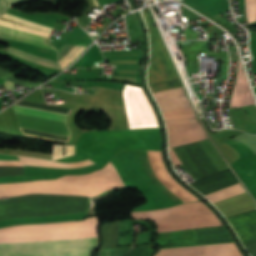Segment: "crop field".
Listing matches in <instances>:
<instances>
[{"instance_id":"crop-field-1","label":"crop field","mask_w":256,"mask_h":256,"mask_svg":"<svg viewBox=\"0 0 256 256\" xmlns=\"http://www.w3.org/2000/svg\"><path fill=\"white\" fill-rule=\"evenodd\" d=\"M96 217L81 221L28 224L0 229V243L96 234ZM97 236L0 244V256H89Z\"/></svg>"},{"instance_id":"crop-field-2","label":"crop field","mask_w":256,"mask_h":256,"mask_svg":"<svg viewBox=\"0 0 256 256\" xmlns=\"http://www.w3.org/2000/svg\"><path fill=\"white\" fill-rule=\"evenodd\" d=\"M120 186L125 185L109 161L103 169L87 175L63 176L56 180L0 184V197L27 193L97 196Z\"/></svg>"},{"instance_id":"crop-field-3","label":"crop field","mask_w":256,"mask_h":256,"mask_svg":"<svg viewBox=\"0 0 256 256\" xmlns=\"http://www.w3.org/2000/svg\"><path fill=\"white\" fill-rule=\"evenodd\" d=\"M0 200V221L87 213L88 197L28 195Z\"/></svg>"},{"instance_id":"crop-field-4","label":"crop field","mask_w":256,"mask_h":256,"mask_svg":"<svg viewBox=\"0 0 256 256\" xmlns=\"http://www.w3.org/2000/svg\"><path fill=\"white\" fill-rule=\"evenodd\" d=\"M157 225L156 233L222 225L202 203L194 202L146 212Z\"/></svg>"},{"instance_id":"crop-field-5","label":"crop field","mask_w":256,"mask_h":256,"mask_svg":"<svg viewBox=\"0 0 256 256\" xmlns=\"http://www.w3.org/2000/svg\"><path fill=\"white\" fill-rule=\"evenodd\" d=\"M13 108L17 113L28 114V115L66 122L67 115L65 114L54 113V112L28 108V107H23L18 105L13 106ZM17 113L15 114L19 120V125L22 128L70 137V129L67 123L33 117V116H27V115H22Z\"/></svg>"},{"instance_id":"crop-field-6","label":"crop field","mask_w":256,"mask_h":256,"mask_svg":"<svg viewBox=\"0 0 256 256\" xmlns=\"http://www.w3.org/2000/svg\"><path fill=\"white\" fill-rule=\"evenodd\" d=\"M150 36V61L148 67V84L177 78L163 45L158 37L151 17L146 9L142 10Z\"/></svg>"},{"instance_id":"crop-field-7","label":"crop field","mask_w":256,"mask_h":256,"mask_svg":"<svg viewBox=\"0 0 256 256\" xmlns=\"http://www.w3.org/2000/svg\"><path fill=\"white\" fill-rule=\"evenodd\" d=\"M168 127L169 148L195 143L207 139L201 126L194 123L193 119L166 122ZM170 157L174 167L181 165V162L169 149Z\"/></svg>"},{"instance_id":"crop-field-8","label":"crop field","mask_w":256,"mask_h":256,"mask_svg":"<svg viewBox=\"0 0 256 256\" xmlns=\"http://www.w3.org/2000/svg\"><path fill=\"white\" fill-rule=\"evenodd\" d=\"M0 32L50 45V42H49L47 37H42V36L26 33V32H23V31L11 29V28L1 26V25H0ZM1 33H0V35H3V36H7V37H11V38H15V39H19V40H23V41H27V42H31V43H35V44H39V45H43V46L53 48L52 46H49V45H45V44H41V43H37V42H33V41L21 39V38H17V37H13V36L1 34ZM8 53L13 54V55H15L17 57H20V58H23V59L41 64V65H45V66H48V67H51V68L62 70V66H60L59 63H57V61H55V60H51V59L39 57V56H36V55H33V54H29V53L17 50V49L12 48V47H10V49L8 50Z\"/></svg>"},{"instance_id":"crop-field-9","label":"crop field","mask_w":256,"mask_h":256,"mask_svg":"<svg viewBox=\"0 0 256 256\" xmlns=\"http://www.w3.org/2000/svg\"><path fill=\"white\" fill-rule=\"evenodd\" d=\"M150 165L155 176L161 183L168 188L172 193L178 196L184 203L197 201L189 192L180 187L166 171L160 157V151H148Z\"/></svg>"},{"instance_id":"crop-field-10","label":"crop field","mask_w":256,"mask_h":256,"mask_svg":"<svg viewBox=\"0 0 256 256\" xmlns=\"http://www.w3.org/2000/svg\"><path fill=\"white\" fill-rule=\"evenodd\" d=\"M254 103L255 102L250 91L245 73L242 69L241 62L238 61L236 84L232 93L230 108L250 105Z\"/></svg>"},{"instance_id":"crop-field-11","label":"crop field","mask_w":256,"mask_h":256,"mask_svg":"<svg viewBox=\"0 0 256 256\" xmlns=\"http://www.w3.org/2000/svg\"><path fill=\"white\" fill-rule=\"evenodd\" d=\"M208 255L202 256H242L234 243H222L206 245ZM154 256H163L162 250Z\"/></svg>"},{"instance_id":"crop-field-12","label":"crop field","mask_w":256,"mask_h":256,"mask_svg":"<svg viewBox=\"0 0 256 256\" xmlns=\"http://www.w3.org/2000/svg\"><path fill=\"white\" fill-rule=\"evenodd\" d=\"M245 193L244 189L240 183L233 186L227 187L225 189L219 190L217 192L206 195V197L212 202H217L226 198H230L239 194Z\"/></svg>"},{"instance_id":"crop-field-13","label":"crop field","mask_w":256,"mask_h":256,"mask_svg":"<svg viewBox=\"0 0 256 256\" xmlns=\"http://www.w3.org/2000/svg\"><path fill=\"white\" fill-rule=\"evenodd\" d=\"M165 121L197 118L192 107L162 112Z\"/></svg>"},{"instance_id":"crop-field-14","label":"crop field","mask_w":256,"mask_h":256,"mask_svg":"<svg viewBox=\"0 0 256 256\" xmlns=\"http://www.w3.org/2000/svg\"><path fill=\"white\" fill-rule=\"evenodd\" d=\"M135 90H136L140 100L142 101V103H143V105H144V107H145V109H146V111L148 113V116L150 118L152 127H158L157 122L155 120L154 113H153V111H152V109H151V107H150V105H149V103H148V101H147V99H146L142 89L138 88V87H135Z\"/></svg>"},{"instance_id":"crop-field-15","label":"crop field","mask_w":256,"mask_h":256,"mask_svg":"<svg viewBox=\"0 0 256 256\" xmlns=\"http://www.w3.org/2000/svg\"><path fill=\"white\" fill-rule=\"evenodd\" d=\"M149 87L151 89V92L154 93V92H159V91H164V90L180 88L182 86H181L179 80H175V81L165 82V83H161V84L151 85Z\"/></svg>"},{"instance_id":"crop-field-16","label":"crop field","mask_w":256,"mask_h":256,"mask_svg":"<svg viewBox=\"0 0 256 256\" xmlns=\"http://www.w3.org/2000/svg\"><path fill=\"white\" fill-rule=\"evenodd\" d=\"M78 46H69V45H62L60 49L58 50V61L61 64L64 62L71 54L72 52L77 48ZM86 49V48H85ZM84 49V50H85ZM83 50V51H84ZM68 67V66H67ZM65 69V68H64Z\"/></svg>"},{"instance_id":"crop-field-17","label":"crop field","mask_w":256,"mask_h":256,"mask_svg":"<svg viewBox=\"0 0 256 256\" xmlns=\"http://www.w3.org/2000/svg\"><path fill=\"white\" fill-rule=\"evenodd\" d=\"M0 160H19L18 156L0 154ZM0 165L22 166L20 161H0Z\"/></svg>"},{"instance_id":"crop-field-18","label":"crop field","mask_w":256,"mask_h":256,"mask_svg":"<svg viewBox=\"0 0 256 256\" xmlns=\"http://www.w3.org/2000/svg\"><path fill=\"white\" fill-rule=\"evenodd\" d=\"M249 14L256 15V0H248Z\"/></svg>"},{"instance_id":"crop-field-19","label":"crop field","mask_w":256,"mask_h":256,"mask_svg":"<svg viewBox=\"0 0 256 256\" xmlns=\"http://www.w3.org/2000/svg\"><path fill=\"white\" fill-rule=\"evenodd\" d=\"M31 1H35V0H8L10 7L16 6L19 4H23V3H27V2H31Z\"/></svg>"},{"instance_id":"crop-field-20","label":"crop field","mask_w":256,"mask_h":256,"mask_svg":"<svg viewBox=\"0 0 256 256\" xmlns=\"http://www.w3.org/2000/svg\"><path fill=\"white\" fill-rule=\"evenodd\" d=\"M7 6L6 0H0V15L6 10Z\"/></svg>"},{"instance_id":"crop-field-21","label":"crop field","mask_w":256,"mask_h":256,"mask_svg":"<svg viewBox=\"0 0 256 256\" xmlns=\"http://www.w3.org/2000/svg\"><path fill=\"white\" fill-rule=\"evenodd\" d=\"M4 85H5V87H6L7 90L14 89L13 83H11V82L5 81V82H4Z\"/></svg>"},{"instance_id":"crop-field-22","label":"crop field","mask_w":256,"mask_h":256,"mask_svg":"<svg viewBox=\"0 0 256 256\" xmlns=\"http://www.w3.org/2000/svg\"><path fill=\"white\" fill-rule=\"evenodd\" d=\"M228 218V217H227Z\"/></svg>"}]
</instances>
